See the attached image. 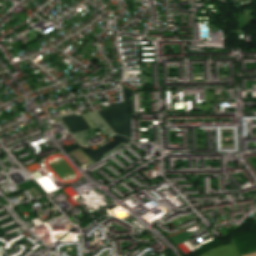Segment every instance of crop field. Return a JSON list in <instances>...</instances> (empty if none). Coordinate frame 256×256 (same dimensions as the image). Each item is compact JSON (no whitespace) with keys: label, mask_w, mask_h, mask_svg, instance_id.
Wrapping results in <instances>:
<instances>
[{"label":"crop field","mask_w":256,"mask_h":256,"mask_svg":"<svg viewBox=\"0 0 256 256\" xmlns=\"http://www.w3.org/2000/svg\"><path fill=\"white\" fill-rule=\"evenodd\" d=\"M123 103L111 105L112 109L98 113L115 133L131 138L130 101L128 90L122 87Z\"/></svg>","instance_id":"obj_1"},{"label":"crop field","mask_w":256,"mask_h":256,"mask_svg":"<svg viewBox=\"0 0 256 256\" xmlns=\"http://www.w3.org/2000/svg\"><path fill=\"white\" fill-rule=\"evenodd\" d=\"M245 256H256V253L245 255Z\"/></svg>","instance_id":"obj_5"},{"label":"crop field","mask_w":256,"mask_h":256,"mask_svg":"<svg viewBox=\"0 0 256 256\" xmlns=\"http://www.w3.org/2000/svg\"><path fill=\"white\" fill-rule=\"evenodd\" d=\"M199 256H239V254L231 240V243L211 248Z\"/></svg>","instance_id":"obj_4"},{"label":"crop field","mask_w":256,"mask_h":256,"mask_svg":"<svg viewBox=\"0 0 256 256\" xmlns=\"http://www.w3.org/2000/svg\"><path fill=\"white\" fill-rule=\"evenodd\" d=\"M112 138H114L115 140L109 142L108 144L104 145L103 147L99 148L98 150H96L94 152L90 148H82L78 144L66 148V151L69 152V151L79 147L82 151H84L90 158H92L96 162L99 159H101L100 156L102 154L112 150L114 147H116L121 142H123L125 144L129 142V139L121 137L119 135H115Z\"/></svg>","instance_id":"obj_2"},{"label":"crop field","mask_w":256,"mask_h":256,"mask_svg":"<svg viewBox=\"0 0 256 256\" xmlns=\"http://www.w3.org/2000/svg\"><path fill=\"white\" fill-rule=\"evenodd\" d=\"M83 119L86 121V123L89 125L90 128L93 127V125L90 123V121L87 119L85 115H81ZM81 116L76 117V115L63 117L62 120L65 122L71 133L89 129L88 125L85 123V121L82 119Z\"/></svg>","instance_id":"obj_3"}]
</instances>
